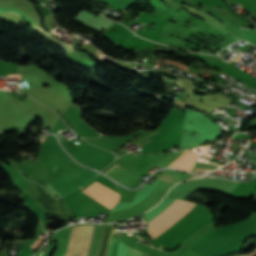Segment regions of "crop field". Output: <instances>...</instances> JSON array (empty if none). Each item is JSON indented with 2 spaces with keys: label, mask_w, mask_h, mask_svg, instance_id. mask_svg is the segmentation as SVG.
<instances>
[{
  "label": "crop field",
  "mask_w": 256,
  "mask_h": 256,
  "mask_svg": "<svg viewBox=\"0 0 256 256\" xmlns=\"http://www.w3.org/2000/svg\"><path fill=\"white\" fill-rule=\"evenodd\" d=\"M185 201L176 199L174 203L165 210L160 216L156 217L152 221L148 222V232L157 227L161 224L164 220H166L169 216H171L175 211H177ZM195 204L191 202H186L177 212H175L171 217H169L166 221H164L161 225L157 228L152 230L150 235L152 238H156L160 235L163 231L173 225L176 221H178L184 214H186Z\"/></svg>",
  "instance_id": "crop-field-1"
},
{
  "label": "crop field",
  "mask_w": 256,
  "mask_h": 256,
  "mask_svg": "<svg viewBox=\"0 0 256 256\" xmlns=\"http://www.w3.org/2000/svg\"><path fill=\"white\" fill-rule=\"evenodd\" d=\"M93 227L94 225H85L76 256H86ZM113 229V225L104 227L97 256H106L107 246Z\"/></svg>",
  "instance_id": "crop-field-2"
},
{
  "label": "crop field",
  "mask_w": 256,
  "mask_h": 256,
  "mask_svg": "<svg viewBox=\"0 0 256 256\" xmlns=\"http://www.w3.org/2000/svg\"><path fill=\"white\" fill-rule=\"evenodd\" d=\"M85 194L89 195L96 201L105 205L108 208H112L113 205L118 202L119 194L97 182H93L89 187L83 190Z\"/></svg>",
  "instance_id": "crop-field-3"
},
{
  "label": "crop field",
  "mask_w": 256,
  "mask_h": 256,
  "mask_svg": "<svg viewBox=\"0 0 256 256\" xmlns=\"http://www.w3.org/2000/svg\"><path fill=\"white\" fill-rule=\"evenodd\" d=\"M105 175L115 179L116 181H118L128 187L132 186L139 177L118 165H116L114 168H112Z\"/></svg>",
  "instance_id": "crop-field-4"
},
{
  "label": "crop field",
  "mask_w": 256,
  "mask_h": 256,
  "mask_svg": "<svg viewBox=\"0 0 256 256\" xmlns=\"http://www.w3.org/2000/svg\"><path fill=\"white\" fill-rule=\"evenodd\" d=\"M118 242H119L118 240H115L113 238L111 239L108 256H115L117 246H118ZM127 248H128L127 245L119 242V246H118L116 256H126ZM137 252H138L137 250L130 247V249L127 253V256H137ZM138 256H148V253H144V252L139 251Z\"/></svg>",
  "instance_id": "crop-field-5"
},
{
  "label": "crop field",
  "mask_w": 256,
  "mask_h": 256,
  "mask_svg": "<svg viewBox=\"0 0 256 256\" xmlns=\"http://www.w3.org/2000/svg\"><path fill=\"white\" fill-rule=\"evenodd\" d=\"M198 156L199 154L186 151L166 167H174L185 170Z\"/></svg>",
  "instance_id": "crop-field-6"
},
{
  "label": "crop field",
  "mask_w": 256,
  "mask_h": 256,
  "mask_svg": "<svg viewBox=\"0 0 256 256\" xmlns=\"http://www.w3.org/2000/svg\"><path fill=\"white\" fill-rule=\"evenodd\" d=\"M190 177H193V175L182 174V173L173 172V171H169V170H166L163 173L156 176V178L165 180V181L173 183V184H176V183H178L182 180L188 179Z\"/></svg>",
  "instance_id": "crop-field-7"
},
{
  "label": "crop field",
  "mask_w": 256,
  "mask_h": 256,
  "mask_svg": "<svg viewBox=\"0 0 256 256\" xmlns=\"http://www.w3.org/2000/svg\"><path fill=\"white\" fill-rule=\"evenodd\" d=\"M247 256H256V249H255L252 253H250L249 255H247Z\"/></svg>",
  "instance_id": "crop-field-8"
},
{
  "label": "crop field",
  "mask_w": 256,
  "mask_h": 256,
  "mask_svg": "<svg viewBox=\"0 0 256 256\" xmlns=\"http://www.w3.org/2000/svg\"><path fill=\"white\" fill-rule=\"evenodd\" d=\"M2 92H3V91L0 90V96H1Z\"/></svg>",
  "instance_id": "crop-field-9"
}]
</instances>
